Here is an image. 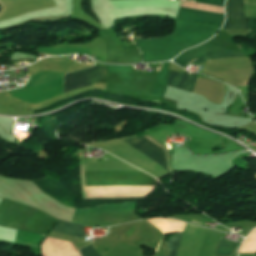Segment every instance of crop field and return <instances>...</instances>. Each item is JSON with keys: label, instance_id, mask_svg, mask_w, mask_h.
I'll return each instance as SVG.
<instances>
[{"label": "crop field", "instance_id": "14", "mask_svg": "<svg viewBox=\"0 0 256 256\" xmlns=\"http://www.w3.org/2000/svg\"><path fill=\"white\" fill-rule=\"evenodd\" d=\"M226 235V234H225Z\"/></svg>", "mask_w": 256, "mask_h": 256}, {"label": "crop field", "instance_id": "7", "mask_svg": "<svg viewBox=\"0 0 256 256\" xmlns=\"http://www.w3.org/2000/svg\"><path fill=\"white\" fill-rule=\"evenodd\" d=\"M182 234L183 233L169 237L170 256H176ZM235 245V242L221 240L216 254L230 256Z\"/></svg>", "mask_w": 256, "mask_h": 256}, {"label": "crop field", "instance_id": "2", "mask_svg": "<svg viewBox=\"0 0 256 256\" xmlns=\"http://www.w3.org/2000/svg\"><path fill=\"white\" fill-rule=\"evenodd\" d=\"M222 47L213 45L211 43L205 42L202 45H199L197 47H194L190 50H187L185 52H183L181 55H179L177 58H175L173 61L178 63L179 65H181L183 68L185 65L188 64L189 61L195 59V58H200L203 57L211 52H214L218 49H220ZM238 56H244L242 53L239 52H235V51H230V50H226L224 48L209 54L199 60H196L192 63L200 65L202 62H204L207 59H214V58H225V57H238ZM190 63V62H189Z\"/></svg>", "mask_w": 256, "mask_h": 256}, {"label": "crop field", "instance_id": "1", "mask_svg": "<svg viewBox=\"0 0 256 256\" xmlns=\"http://www.w3.org/2000/svg\"><path fill=\"white\" fill-rule=\"evenodd\" d=\"M85 178H152L143 172H85ZM155 179H85L86 186H155Z\"/></svg>", "mask_w": 256, "mask_h": 256}, {"label": "crop field", "instance_id": "8", "mask_svg": "<svg viewBox=\"0 0 256 256\" xmlns=\"http://www.w3.org/2000/svg\"><path fill=\"white\" fill-rule=\"evenodd\" d=\"M195 78L196 77L194 76L184 75L170 71L168 85L192 92Z\"/></svg>", "mask_w": 256, "mask_h": 256}, {"label": "crop field", "instance_id": "6", "mask_svg": "<svg viewBox=\"0 0 256 256\" xmlns=\"http://www.w3.org/2000/svg\"><path fill=\"white\" fill-rule=\"evenodd\" d=\"M250 19L244 18L242 0H228L223 29H249Z\"/></svg>", "mask_w": 256, "mask_h": 256}, {"label": "crop field", "instance_id": "11", "mask_svg": "<svg viewBox=\"0 0 256 256\" xmlns=\"http://www.w3.org/2000/svg\"><path fill=\"white\" fill-rule=\"evenodd\" d=\"M80 253L82 256H100L91 245L80 249Z\"/></svg>", "mask_w": 256, "mask_h": 256}, {"label": "crop field", "instance_id": "13", "mask_svg": "<svg viewBox=\"0 0 256 256\" xmlns=\"http://www.w3.org/2000/svg\"><path fill=\"white\" fill-rule=\"evenodd\" d=\"M161 66H162V63H161ZM159 70H161V67H160V69Z\"/></svg>", "mask_w": 256, "mask_h": 256}, {"label": "crop field", "instance_id": "3", "mask_svg": "<svg viewBox=\"0 0 256 256\" xmlns=\"http://www.w3.org/2000/svg\"><path fill=\"white\" fill-rule=\"evenodd\" d=\"M224 1L225 0H196V2L199 3H206L219 6H223ZM176 18L187 20L190 22L210 23L220 26L222 24V21L224 20V14L181 7Z\"/></svg>", "mask_w": 256, "mask_h": 256}, {"label": "crop field", "instance_id": "10", "mask_svg": "<svg viewBox=\"0 0 256 256\" xmlns=\"http://www.w3.org/2000/svg\"><path fill=\"white\" fill-rule=\"evenodd\" d=\"M43 236H40V234L19 230L14 242L39 246V243L44 238Z\"/></svg>", "mask_w": 256, "mask_h": 256}, {"label": "crop field", "instance_id": "5", "mask_svg": "<svg viewBox=\"0 0 256 256\" xmlns=\"http://www.w3.org/2000/svg\"><path fill=\"white\" fill-rule=\"evenodd\" d=\"M147 138V137H146ZM145 137L141 138H134V139H128L124 140L131 146H133L135 149L155 161L157 164L162 166L167 172H168V167H167V162H166V157L163 149L159 147L158 145L150 142L148 139Z\"/></svg>", "mask_w": 256, "mask_h": 256}, {"label": "crop field", "instance_id": "4", "mask_svg": "<svg viewBox=\"0 0 256 256\" xmlns=\"http://www.w3.org/2000/svg\"><path fill=\"white\" fill-rule=\"evenodd\" d=\"M106 76L104 66H94L92 68L67 73L65 75L64 92L90 86L93 80Z\"/></svg>", "mask_w": 256, "mask_h": 256}, {"label": "crop field", "instance_id": "9", "mask_svg": "<svg viewBox=\"0 0 256 256\" xmlns=\"http://www.w3.org/2000/svg\"><path fill=\"white\" fill-rule=\"evenodd\" d=\"M52 230L79 236V237L85 236L84 226L63 222L61 220L57 223V225Z\"/></svg>", "mask_w": 256, "mask_h": 256}, {"label": "crop field", "instance_id": "12", "mask_svg": "<svg viewBox=\"0 0 256 256\" xmlns=\"http://www.w3.org/2000/svg\"><path fill=\"white\" fill-rule=\"evenodd\" d=\"M39 53V52H38ZM40 54H43V53H40ZM44 55H48V54H44Z\"/></svg>", "mask_w": 256, "mask_h": 256}]
</instances>
